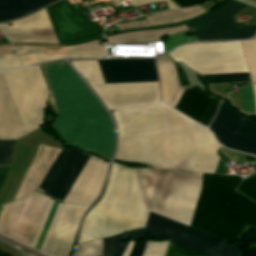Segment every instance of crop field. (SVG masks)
I'll return each instance as SVG.
<instances>
[{"mask_svg":"<svg viewBox=\"0 0 256 256\" xmlns=\"http://www.w3.org/2000/svg\"><path fill=\"white\" fill-rule=\"evenodd\" d=\"M88 158L85 153L64 147L36 191L63 202Z\"/></svg>","mask_w":256,"mask_h":256,"instance_id":"crop-field-9","label":"crop field"},{"mask_svg":"<svg viewBox=\"0 0 256 256\" xmlns=\"http://www.w3.org/2000/svg\"><path fill=\"white\" fill-rule=\"evenodd\" d=\"M242 119L222 101L209 129L222 145L256 155V139L235 134Z\"/></svg>","mask_w":256,"mask_h":256,"instance_id":"crop-field-15","label":"crop field"},{"mask_svg":"<svg viewBox=\"0 0 256 256\" xmlns=\"http://www.w3.org/2000/svg\"><path fill=\"white\" fill-rule=\"evenodd\" d=\"M246 58L251 83H256V39L240 42Z\"/></svg>","mask_w":256,"mask_h":256,"instance_id":"crop-field-24","label":"crop field"},{"mask_svg":"<svg viewBox=\"0 0 256 256\" xmlns=\"http://www.w3.org/2000/svg\"><path fill=\"white\" fill-rule=\"evenodd\" d=\"M0 43H4V42H0Z\"/></svg>","mask_w":256,"mask_h":256,"instance_id":"crop-field-45","label":"crop field"},{"mask_svg":"<svg viewBox=\"0 0 256 256\" xmlns=\"http://www.w3.org/2000/svg\"><path fill=\"white\" fill-rule=\"evenodd\" d=\"M116 26L119 28V30H125V29L137 28V27H145L149 25L146 21H141V22L117 24Z\"/></svg>","mask_w":256,"mask_h":256,"instance_id":"crop-field-38","label":"crop field"},{"mask_svg":"<svg viewBox=\"0 0 256 256\" xmlns=\"http://www.w3.org/2000/svg\"><path fill=\"white\" fill-rule=\"evenodd\" d=\"M131 1L133 3L134 7L141 6L143 4H150V3L159 2V1H166L169 9L179 8L177 5H175L170 0H131Z\"/></svg>","mask_w":256,"mask_h":256,"instance_id":"crop-field-37","label":"crop field"},{"mask_svg":"<svg viewBox=\"0 0 256 256\" xmlns=\"http://www.w3.org/2000/svg\"><path fill=\"white\" fill-rule=\"evenodd\" d=\"M57 117L54 130L68 145L111 159L114 132L100 104L67 63L44 66Z\"/></svg>","mask_w":256,"mask_h":256,"instance_id":"crop-field-3","label":"crop field"},{"mask_svg":"<svg viewBox=\"0 0 256 256\" xmlns=\"http://www.w3.org/2000/svg\"><path fill=\"white\" fill-rule=\"evenodd\" d=\"M137 236L168 237L171 238L170 245L203 256H239L237 248L223 245L225 241L151 212L145 228L126 232L124 235ZM170 245L166 256H200Z\"/></svg>","mask_w":256,"mask_h":256,"instance_id":"crop-field-6","label":"crop field"},{"mask_svg":"<svg viewBox=\"0 0 256 256\" xmlns=\"http://www.w3.org/2000/svg\"><path fill=\"white\" fill-rule=\"evenodd\" d=\"M175 3H177L181 8L188 7L192 5H196L208 0H173Z\"/></svg>","mask_w":256,"mask_h":256,"instance_id":"crop-field-40","label":"crop field"},{"mask_svg":"<svg viewBox=\"0 0 256 256\" xmlns=\"http://www.w3.org/2000/svg\"><path fill=\"white\" fill-rule=\"evenodd\" d=\"M201 180L202 174L161 171L150 211L189 226ZM240 181V176L203 174L190 226L223 240L256 227V203L234 190Z\"/></svg>","mask_w":256,"mask_h":256,"instance_id":"crop-field-1","label":"crop field"},{"mask_svg":"<svg viewBox=\"0 0 256 256\" xmlns=\"http://www.w3.org/2000/svg\"><path fill=\"white\" fill-rule=\"evenodd\" d=\"M11 51H14L12 47H0V70L21 67L18 58Z\"/></svg>","mask_w":256,"mask_h":256,"instance_id":"crop-field-25","label":"crop field"},{"mask_svg":"<svg viewBox=\"0 0 256 256\" xmlns=\"http://www.w3.org/2000/svg\"><path fill=\"white\" fill-rule=\"evenodd\" d=\"M207 83L249 81L247 73L202 76Z\"/></svg>","mask_w":256,"mask_h":256,"instance_id":"crop-field-26","label":"crop field"},{"mask_svg":"<svg viewBox=\"0 0 256 256\" xmlns=\"http://www.w3.org/2000/svg\"><path fill=\"white\" fill-rule=\"evenodd\" d=\"M249 117H251V118H255L256 119V115H252V114H250V116Z\"/></svg>","mask_w":256,"mask_h":256,"instance_id":"crop-field-44","label":"crop field"},{"mask_svg":"<svg viewBox=\"0 0 256 256\" xmlns=\"http://www.w3.org/2000/svg\"><path fill=\"white\" fill-rule=\"evenodd\" d=\"M252 86H253L254 100H255V107H256V84H254ZM241 90H242V95H243L244 110L255 112L251 85L243 86V87H241Z\"/></svg>","mask_w":256,"mask_h":256,"instance_id":"crop-field-28","label":"crop field"},{"mask_svg":"<svg viewBox=\"0 0 256 256\" xmlns=\"http://www.w3.org/2000/svg\"><path fill=\"white\" fill-rule=\"evenodd\" d=\"M16 140H0V166H10L12 145Z\"/></svg>","mask_w":256,"mask_h":256,"instance_id":"crop-field-29","label":"crop field"},{"mask_svg":"<svg viewBox=\"0 0 256 256\" xmlns=\"http://www.w3.org/2000/svg\"><path fill=\"white\" fill-rule=\"evenodd\" d=\"M89 207L64 204L44 253L49 256H69L78 223Z\"/></svg>","mask_w":256,"mask_h":256,"instance_id":"crop-field-14","label":"crop field"},{"mask_svg":"<svg viewBox=\"0 0 256 256\" xmlns=\"http://www.w3.org/2000/svg\"><path fill=\"white\" fill-rule=\"evenodd\" d=\"M219 144L205 128L185 124L119 135L116 160L141 162L152 169L214 173ZM216 174H225L219 159Z\"/></svg>","mask_w":256,"mask_h":256,"instance_id":"crop-field-2","label":"crop field"},{"mask_svg":"<svg viewBox=\"0 0 256 256\" xmlns=\"http://www.w3.org/2000/svg\"><path fill=\"white\" fill-rule=\"evenodd\" d=\"M238 191L244 193L245 195L256 201V176L242 181L238 188Z\"/></svg>","mask_w":256,"mask_h":256,"instance_id":"crop-field-30","label":"crop field"},{"mask_svg":"<svg viewBox=\"0 0 256 256\" xmlns=\"http://www.w3.org/2000/svg\"><path fill=\"white\" fill-rule=\"evenodd\" d=\"M158 68L162 83V101L175 108L184 89L179 86L173 61L164 55L158 60Z\"/></svg>","mask_w":256,"mask_h":256,"instance_id":"crop-field-18","label":"crop field"},{"mask_svg":"<svg viewBox=\"0 0 256 256\" xmlns=\"http://www.w3.org/2000/svg\"><path fill=\"white\" fill-rule=\"evenodd\" d=\"M145 242H143L141 244L135 243L134 248H133L130 256H142L144 246H145Z\"/></svg>","mask_w":256,"mask_h":256,"instance_id":"crop-field-41","label":"crop field"},{"mask_svg":"<svg viewBox=\"0 0 256 256\" xmlns=\"http://www.w3.org/2000/svg\"><path fill=\"white\" fill-rule=\"evenodd\" d=\"M159 172L113 163L102 200L83 221L79 243L144 227Z\"/></svg>","mask_w":256,"mask_h":256,"instance_id":"crop-field-4","label":"crop field"},{"mask_svg":"<svg viewBox=\"0 0 256 256\" xmlns=\"http://www.w3.org/2000/svg\"><path fill=\"white\" fill-rule=\"evenodd\" d=\"M256 38V37H255Z\"/></svg>","mask_w":256,"mask_h":256,"instance_id":"crop-field-47","label":"crop field"},{"mask_svg":"<svg viewBox=\"0 0 256 256\" xmlns=\"http://www.w3.org/2000/svg\"><path fill=\"white\" fill-rule=\"evenodd\" d=\"M10 23L13 26L0 24V31L12 42L58 43L44 9Z\"/></svg>","mask_w":256,"mask_h":256,"instance_id":"crop-field-16","label":"crop field"},{"mask_svg":"<svg viewBox=\"0 0 256 256\" xmlns=\"http://www.w3.org/2000/svg\"><path fill=\"white\" fill-rule=\"evenodd\" d=\"M19 56L31 54V53H44L45 47H28V46H19L15 47Z\"/></svg>","mask_w":256,"mask_h":256,"instance_id":"crop-field-36","label":"crop field"},{"mask_svg":"<svg viewBox=\"0 0 256 256\" xmlns=\"http://www.w3.org/2000/svg\"><path fill=\"white\" fill-rule=\"evenodd\" d=\"M202 13H204V11L199 6H196L189 9H180L155 13L154 15L149 16L146 19L151 26L157 24H166L188 20Z\"/></svg>","mask_w":256,"mask_h":256,"instance_id":"crop-field-21","label":"crop field"},{"mask_svg":"<svg viewBox=\"0 0 256 256\" xmlns=\"http://www.w3.org/2000/svg\"><path fill=\"white\" fill-rule=\"evenodd\" d=\"M112 237L103 239L104 248H103L102 256H110L111 255V253H112Z\"/></svg>","mask_w":256,"mask_h":256,"instance_id":"crop-field-39","label":"crop field"},{"mask_svg":"<svg viewBox=\"0 0 256 256\" xmlns=\"http://www.w3.org/2000/svg\"><path fill=\"white\" fill-rule=\"evenodd\" d=\"M219 101H220L219 99L212 97V100H211L207 110L205 111V113L200 121V124H202L204 126H207L209 124V122L211 121V119L217 109Z\"/></svg>","mask_w":256,"mask_h":256,"instance_id":"crop-field-31","label":"crop field"},{"mask_svg":"<svg viewBox=\"0 0 256 256\" xmlns=\"http://www.w3.org/2000/svg\"><path fill=\"white\" fill-rule=\"evenodd\" d=\"M104 58V46H98V42L92 41L83 45L74 47H65V55L55 54H32L19 57L23 66L47 62L62 58Z\"/></svg>","mask_w":256,"mask_h":256,"instance_id":"crop-field-17","label":"crop field"},{"mask_svg":"<svg viewBox=\"0 0 256 256\" xmlns=\"http://www.w3.org/2000/svg\"><path fill=\"white\" fill-rule=\"evenodd\" d=\"M108 110L156 103L158 82L90 85Z\"/></svg>","mask_w":256,"mask_h":256,"instance_id":"crop-field-12","label":"crop field"},{"mask_svg":"<svg viewBox=\"0 0 256 256\" xmlns=\"http://www.w3.org/2000/svg\"><path fill=\"white\" fill-rule=\"evenodd\" d=\"M47 94L38 66L0 72V139H19L41 127Z\"/></svg>","mask_w":256,"mask_h":256,"instance_id":"crop-field-5","label":"crop field"},{"mask_svg":"<svg viewBox=\"0 0 256 256\" xmlns=\"http://www.w3.org/2000/svg\"><path fill=\"white\" fill-rule=\"evenodd\" d=\"M168 242L147 241L143 256H165Z\"/></svg>","mask_w":256,"mask_h":256,"instance_id":"crop-field-27","label":"crop field"},{"mask_svg":"<svg viewBox=\"0 0 256 256\" xmlns=\"http://www.w3.org/2000/svg\"><path fill=\"white\" fill-rule=\"evenodd\" d=\"M57 206H58V202L55 201L54 204H53V206H52V209H51V211H50V214H49V216H48V218H47V221H46V223H45V225H44V228H43V230H42V233H41V235H40V237H39V241H38V243H37V245H36V249H38V250H40V247H41V245H42V242H43V240H44V237H45V235H46V232H47V230H48V227H49V225H50V222H51V220H52V218H53V215H54V213H55V210H56Z\"/></svg>","mask_w":256,"mask_h":256,"instance_id":"crop-field-34","label":"crop field"},{"mask_svg":"<svg viewBox=\"0 0 256 256\" xmlns=\"http://www.w3.org/2000/svg\"><path fill=\"white\" fill-rule=\"evenodd\" d=\"M72 63L88 84L104 83L97 61L75 60Z\"/></svg>","mask_w":256,"mask_h":256,"instance_id":"crop-field-22","label":"crop field"},{"mask_svg":"<svg viewBox=\"0 0 256 256\" xmlns=\"http://www.w3.org/2000/svg\"><path fill=\"white\" fill-rule=\"evenodd\" d=\"M1 207V206H0Z\"/></svg>","mask_w":256,"mask_h":256,"instance_id":"crop-field-46","label":"crop field"},{"mask_svg":"<svg viewBox=\"0 0 256 256\" xmlns=\"http://www.w3.org/2000/svg\"><path fill=\"white\" fill-rule=\"evenodd\" d=\"M127 243L122 244V234L114 236L112 256H121L127 246Z\"/></svg>","mask_w":256,"mask_h":256,"instance_id":"crop-field-35","label":"crop field"},{"mask_svg":"<svg viewBox=\"0 0 256 256\" xmlns=\"http://www.w3.org/2000/svg\"><path fill=\"white\" fill-rule=\"evenodd\" d=\"M169 55L201 75L248 72L239 41L190 44Z\"/></svg>","mask_w":256,"mask_h":256,"instance_id":"crop-field-7","label":"crop field"},{"mask_svg":"<svg viewBox=\"0 0 256 256\" xmlns=\"http://www.w3.org/2000/svg\"><path fill=\"white\" fill-rule=\"evenodd\" d=\"M54 6L71 42L81 41L100 35L102 28L97 23L91 22L85 11L77 14L67 0L54 4ZM54 6L52 5L45 10L53 25L58 42H70Z\"/></svg>","mask_w":256,"mask_h":256,"instance_id":"crop-field-11","label":"crop field"},{"mask_svg":"<svg viewBox=\"0 0 256 256\" xmlns=\"http://www.w3.org/2000/svg\"><path fill=\"white\" fill-rule=\"evenodd\" d=\"M244 7L246 5L232 0L226 6L206 18L187 24V27L195 33L211 24L213 25L194 36L197 40L241 39L251 37L256 32V25L238 28L234 26V15Z\"/></svg>","mask_w":256,"mask_h":256,"instance_id":"crop-field-10","label":"crop field"},{"mask_svg":"<svg viewBox=\"0 0 256 256\" xmlns=\"http://www.w3.org/2000/svg\"><path fill=\"white\" fill-rule=\"evenodd\" d=\"M119 134L191 123L163 104H151L112 112Z\"/></svg>","mask_w":256,"mask_h":256,"instance_id":"crop-field-8","label":"crop field"},{"mask_svg":"<svg viewBox=\"0 0 256 256\" xmlns=\"http://www.w3.org/2000/svg\"><path fill=\"white\" fill-rule=\"evenodd\" d=\"M105 83L158 81L154 59L98 61Z\"/></svg>","mask_w":256,"mask_h":256,"instance_id":"crop-field-13","label":"crop field"},{"mask_svg":"<svg viewBox=\"0 0 256 256\" xmlns=\"http://www.w3.org/2000/svg\"><path fill=\"white\" fill-rule=\"evenodd\" d=\"M57 0H24L26 14L42 8Z\"/></svg>","mask_w":256,"mask_h":256,"instance_id":"crop-field-32","label":"crop field"},{"mask_svg":"<svg viewBox=\"0 0 256 256\" xmlns=\"http://www.w3.org/2000/svg\"><path fill=\"white\" fill-rule=\"evenodd\" d=\"M133 244H134L133 242H129V244H128V246H127V248H126V250H125L123 256H129L130 251H131V249H132V247H133Z\"/></svg>","mask_w":256,"mask_h":256,"instance_id":"crop-field-42","label":"crop field"},{"mask_svg":"<svg viewBox=\"0 0 256 256\" xmlns=\"http://www.w3.org/2000/svg\"><path fill=\"white\" fill-rule=\"evenodd\" d=\"M25 15L23 0H0V21Z\"/></svg>","mask_w":256,"mask_h":256,"instance_id":"crop-field-23","label":"crop field"},{"mask_svg":"<svg viewBox=\"0 0 256 256\" xmlns=\"http://www.w3.org/2000/svg\"><path fill=\"white\" fill-rule=\"evenodd\" d=\"M210 99L195 85L184 90L175 109L199 122Z\"/></svg>","mask_w":256,"mask_h":256,"instance_id":"crop-field-19","label":"crop field"},{"mask_svg":"<svg viewBox=\"0 0 256 256\" xmlns=\"http://www.w3.org/2000/svg\"><path fill=\"white\" fill-rule=\"evenodd\" d=\"M115 7L122 5L120 0H112Z\"/></svg>","mask_w":256,"mask_h":256,"instance_id":"crop-field-43","label":"crop field"},{"mask_svg":"<svg viewBox=\"0 0 256 256\" xmlns=\"http://www.w3.org/2000/svg\"><path fill=\"white\" fill-rule=\"evenodd\" d=\"M183 30H187L185 25L168 29L123 33L106 38V44H125L135 42L156 41L161 40L160 37L162 36L171 35L175 32Z\"/></svg>","mask_w":256,"mask_h":256,"instance_id":"crop-field-20","label":"crop field"},{"mask_svg":"<svg viewBox=\"0 0 256 256\" xmlns=\"http://www.w3.org/2000/svg\"><path fill=\"white\" fill-rule=\"evenodd\" d=\"M237 134L256 138V124L244 119Z\"/></svg>","mask_w":256,"mask_h":256,"instance_id":"crop-field-33","label":"crop field"}]
</instances>
